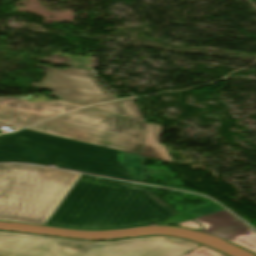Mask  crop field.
Returning <instances> with one entry per match:
<instances>
[{
    "label": "crop field",
    "mask_w": 256,
    "mask_h": 256,
    "mask_svg": "<svg viewBox=\"0 0 256 256\" xmlns=\"http://www.w3.org/2000/svg\"><path fill=\"white\" fill-rule=\"evenodd\" d=\"M221 210H223L221 207H219L217 204L212 202L210 204L197 207L191 211L184 212L181 215L189 217L191 219H194L199 216L214 213V212L221 211Z\"/></svg>",
    "instance_id": "crop-field-11"
},
{
    "label": "crop field",
    "mask_w": 256,
    "mask_h": 256,
    "mask_svg": "<svg viewBox=\"0 0 256 256\" xmlns=\"http://www.w3.org/2000/svg\"><path fill=\"white\" fill-rule=\"evenodd\" d=\"M91 108L100 109L108 112H112L118 115L125 116V113L123 112L121 106L119 105L118 101L110 104H101V105H95L90 106Z\"/></svg>",
    "instance_id": "crop-field-15"
},
{
    "label": "crop field",
    "mask_w": 256,
    "mask_h": 256,
    "mask_svg": "<svg viewBox=\"0 0 256 256\" xmlns=\"http://www.w3.org/2000/svg\"><path fill=\"white\" fill-rule=\"evenodd\" d=\"M145 125L86 107L27 129L142 155Z\"/></svg>",
    "instance_id": "crop-field-5"
},
{
    "label": "crop field",
    "mask_w": 256,
    "mask_h": 256,
    "mask_svg": "<svg viewBox=\"0 0 256 256\" xmlns=\"http://www.w3.org/2000/svg\"><path fill=\"white\" fill-rule=\"evenodd\" d=\"M35 67L46 69V77L40 84L32 83L31 86L51 90L62 99L83 105L116 99L103 88L91 71L76 68L57 69L40 64Z\"/></svg>",
    "instance_id": "crop-field-6"
},
{
    "label": "crop field",
    "mask_w": 256,
    "mask_h": 256,
    "mask_svg": "<svg viewBox=\"0 0 256 256\" xmlns=\"http://www.w3.org/2000/svg\"><path fill=\"white\" fill-rule=\"evenodd\" d=\"M199 246L164 236L84 242L0 231V256H182Z\"/></svg>",
    "instance_id": "crop-field-4"
},
{
    "label": "crop field",
    "mask_w": 256,
    "mask_h": 256,
    "mask_svg": "<svg viewBox=\"0 0 256 256\" xmlns=\"http://www.w3.org/2000/svg\"><path fill=\"white\" fill-rule=\"evenodd\" d=\"M161 127L148 123L145 156L173 162L163 145L159 144Z\"/></svg>",
    "instance_id": "crop-field-9"
},
{
    "label": "crop field",
    "mask_w": 256,
    "mask_h": 256,
    "mask_svg": "<svg viewBox=\"0 0 256 256\" xmlns=\"http://www.w3.org/2000/svg\"><path fill=\"white\" fill-rule=\"evenodd\" d=\"M194 220L204 226V229L201 230V232L218 236L235 245L256 253V232L252 231L243 223L237 221L235 217L225 210L202 216ZM175 226H181L192 230L201 228L198 223L192 220Z\"/></svg>",
    "instance_id": "crop-field-8"
},
{
    "label": "crop field",
    "mask_w": 256,
    "mask_h": 256,
    "mask_svg": "<svg viewBox=\"0 0 256 256\" xmlns=\"http://www.w3.org/2000/svg\"><path fill=\"white\" fill-rule=\"evenodd\" d=\"M72 60V65L68 67H76V68H83L92 70L91 67V58L88 57H80V56H73V55H64Z\"/></svg>",
    "instance_id": "crop-field-13"
},
{
    "label": "crop field",
    "mask_w": 256,
    "mask_h": 256,
    "mask_svg": "<svg viewBox=\"0 0 256 256\" xmlns=\"http://www.w3.org/2000/svg\"><path fill=\"white\" fill-rule=\"evenodd\" d=\"M80 106L61 101L30 103L12 97L0 98V125L18 130Z\"/></svg>",
    "instance_id": "crop-field-7"
},
{
    "label": "crop field",
    "mask_w": 256,
    "mask_h": 256,
    "mask_svg": "<svg viewBox=\"0 0 256 256\" xmlns=\"http://www.w3.org/2000/svg\"><path fill=\"white\" fill-rule=\"evenodd\" d=\"M189 220L185 217H182L180 215L174 216L172 218L166 219L165 221L155 224V225H174L183 221Z\"/></svg>",
    "instance_id": "crop-field-16"
},
{
    "label": "crop field",
    "mask_w": 256,
    "mask_h": 256,
    "mask_svg": "<svg viewBox=\"0 0 256 256\" xmlns=\"http://www.w3.org/2000/svg\"><path fill=\"white\" fill-rule=\"evenodd\" d=\"M184 256H227V255L217 252L215 250H212L208 247L201 246V247L185 254Z\"/></svg>",
    "instance_id": "crop-field-14"
},
{
    "label": "crop field",
    "mask_w": 256,
    "mask_h": 256,
    "mask_svg": "<svg viewBox=\"0 0 256 256\" xmlns=\"http://www.w3.org/2000/svg\"><path fill=\"white\" fill-rule=\"evenodd\" d=\"M140 155L131 154L125 152L124 155V164L127 170V173L130 177L141 181L144 179L143 176V162Z\"/></svg>",
    "instance_id": "crop-field-10"
},
{
    "label": "crop field",
    "mask_w": 256,
    "mask_h": 256,
    "mask_svg": "<svg viewBox=\"0 0 256 256\" xmlns=\"http://www.w3.org/2000/svg\"><path fill=\"white\" fill-rule=\"evenodd\" d=\"M124 152L30 130L0 136V162L34 163L136 181L123 165Z\"/></svg>",
    "instance_id": "crop-field-2"
},
{
    "label": "crop field",
    "mask_w": 256,
    "mask_h": 256,
    "mask_svg": "<svg viewBox=\"0 0 256 256\" xmlns=\"http://www.w3.org/2000/svg\"><path fill=\"white\" fill-rule=\"evenodd\" d=\"M80 174L0 164V220L45 225Z\"/></svg>",
    "instance_id": "crop-field-3"
},
{
    "label": "crop field",
    "mask_w": 256,
    "mask_h": 256,
    "mask_svg": "<svg viewBox=\"0 0 256 256\" xmlns=\"http://www.w3.org/2000/svg\"><path fill=\"white\" fill-rule=\"evenodd\" d=\"M122 105L124 106L126 112L128 113L129 117L137 118L140 120H144L134 99L129 100H121Z\"/></svg>",
    "instance_id": "crop-field-12"
},
{
    "label": "crop field",
    "mask_w": 256,
    "mask_h": 256,
    "mask_svg": "<svg viewBox=\"0 0 256 256\" xmlns=\"http://www.w3.org/2000/svg\"><path fill=\"white\" fill-rule=\"evenodd\" d=\"M174 215L177 213L145 189L82 175L46 225L108 230L143 226Z\"/></svg>",
    "instance_id": "crop-field-1"
}]
</instances>
